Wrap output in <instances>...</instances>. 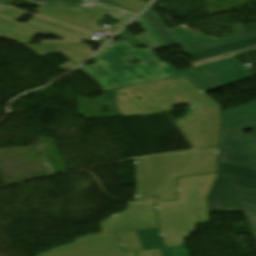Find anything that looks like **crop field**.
Returning a JSON list of instances; mask_svg holds the SVG:
<instances>
[{
	"label": "crop field",
	"instance_id": "4a817a6b",
	"mask_svg": "<svg viewBox=\"0 0 256 256\" xmlns=\"http://www.w3.org/2000/svg\"><path fill=\"white\" fill-rule=\"evenodd\" d=\"M254 45H256V37L200 51L194 54H190V56L198 61Z\"/></svg>",
	"mask_w": 256,
	"mask_h": 256
},
{
	"label": "crop field",
	"instance_id": "214f88e0",
	"mask_svg": "<svg viewBox=\"0 0 256 256\" xmlns=\"http://www.w3.org/2000/svg\"><path fill=\"white\" fill-rule=\"evenodd\" d=\"M125 251L140 250L138 256H161L160 249L144 251L136 231L117 233Z\"/></svg>",
	"mask_w": 256,
	"mask_h": 256
},
{
	"label": "crop field",
	"instance_id": "730fd06b",
	"mask_svg": "<svg viewBox=\"0 0 256 256\" xmlns=\"http://www.w3.org/2000/svg\"><path fill=\"white\" fill-rule=\"evenodd\" d=\"M113 1L125 7L126 9L137 11V12H140L146 6L149 5L143 0H113Z\"/></svg>",
	"mask_w": 256,
	"mask_h": 256
},
{
	"label": "crop field",
	"instance_id": "92a150f3",
	"mask_svg": "<svg viewBox=\"0 0 256 256\" xmlns=\"http://www.w3.org/2000/svg\"><path fill=\"white\" fill-rule=\"evenodd\" d=\"M143 29L147 32L140 36H137L143 43H145L152 50L167 47L162 39L157 35V33L152 29V27L147 23V21L141 15L136 20ZM133 21L132 23H134Z\"/></svg>",
	"mask_w": 256,
	"mask_h": 256
},
{
	"label": "crop field",
	"instance_id": "eef30255",
	"mask_svg": "<svg viewBox=\"0 0 256 256\" xmlns=\"http://www.w3.org/2000/svg\"><path fill=\"white\" fill-rule=\"evenodd\" d=\"M25 14H27V12H24L11 6L0 7V15L12 18L14 20H19Z\"/></svg>",
	"mask_w": 256,
	"mask_h": 256
},
{
	"label": "crop field",
	"instance_id": "28ad6ade",
	"mask_svg": "<svg viewBox=\"0 0 256 256\" xmlns=\"http://www.w3.org/2000/svg\"><path fill=\"white\" fill-rule=\"evenodd\" d=\"M233 176L218 175L208 196L210 212H241L232 185Z\"/></svg>",
	"mask_w": 256,
	"mask_h": 256
},
{
	"label": "crop field",
	"instance_id": "750c4746",
	"mask_svg": "<svg viewBox=\"0 0 256 256\" xmlns=\"http://www.w3.org/2000/svg\"><path fill=\"white\" fill-rule=\"evenodd\" d=\"M76 66H78V65L72 64V63L69 61V62H66V63H64V64L58 66V67L61 68V69L66 70V71H68V70H70V69H72V68H74V67H76Z\"/></svg>",
	"mask_w": 256,
	"mask_h": 256
},
{
	"label": "crop field",
	"instance_id": "dd49c442",
	"mask_svg": "<svg viewBox=\"0 0 256 256\" xmlns=\"http://www.w3.org/2000/svg\"><path fill=\"white\" fill-rule=\"evenodd\" d=\"M244 129L254 134L245 136ZM220 162L256 168V122L222 132Z\"/></svg>",
	"mask_w": 256,
	"mask_h": 256
},
{
	"label": "crop field",
	"instance_id": "a9b5d70f",
	"mask_svg": "<svg viewBox=\"0 0 256 256\" xmlns=\"http://www.w3.org/2000/svg\"><path fill=\"white\" fill-rule=\"evenodd\" d=\"M30 21L37 22V23H40L42 25H45V26H48V27H52V28H55V29H58V30H61V31H64V32H67V33H70L72 35L84 38V39H86L88 36L92 35V34H88V33H85V32L78 31V30H76L74 28H71V27H68L66 25L57 23L55 21H52V20L40 17L38 15L33 17Z\"/></svg>",
	"mask_w": 256,
	"mask_h": 256
},
{
	"label": "crop field",
	"instance_id": "d8731c3e",
	"mask_svg": "<svg viewBox=\"0 0 256 256\" xmlns=\"http://www.w3.org/2000/svg\"><path fill=\"white\" fill-rule=\"evenodd\" d=\"M36 11L40 12L39 15L92 33L99 30L116 33L122 28L116 25L110 29H103L95 25L96 20L108 15L101 9L40 7Z\"/></svg>",
	"mask_w": 256,
	"mask_h": 256
},
{
	"label": "crop field",
	"instance_id": "f4fd0767",
	"mask_svg": "<svg viewBox=\"0 0 256 256\" xmlns=\"http://www.w3.org/2000/svg\"><path fill=\"white\" fill-rule=\"evenodd\" d=\"M197 68L222 87L253 77L235 58L198 66ZM180 72L204 92L219 88L194 68Z\"/></svg>",
	"mask_w": 256,
	"mask_h": 256
},
{
	"label": "crop field",
	"instance_id": "5142ce71",
	"mask_svg": "<svg viewBox=\"0 0 256 256\" xmlns=\"http://www.w3.org/2000/svg\"><path fill=\"white\" fill-rule=\"evenodd\" d=\"M222 117L224 130L256 121V101L224 111Z\"/></svg>",
	"mask_w": 256,
	"mask_h": 256
},
{
	"label": "crop field",
	"instance_id": "00972430",
	"mask_svg": "<svg viewBox=\"0 0 256 256\" xmlns=\"http://www.w3.org/2000/svg\"><path fill=\"white\" fill-rule=\"evenodd\" d=\"M219 173L235 175L240 178L256 180V169L220 163Z\"/></svg>",
	"mask_w": 256,
	"mask_h": 256
},
{
	"label": "crop field",
	"instance_id": "412701ff",
	"mask_svg": "<svg viewBox=\"0 0 256 256\" xmlns=\"http://www.w3.org/2000/svg\"><path fill=\"white\" fill-rule=\"evenodd\" d=\"M136 58L142 63L130 64L129 58ZM92 59L108 70L122 84L170 79L181 77L166 62L160 61L150 49H135L127 41L110 42Z\"/></svg>",
	"mask_w": 256,
	"mask_h": 256
},
{
	"label": "crop field",
	"instance_id": "ae1a2a85",
	"mask_svg": "<svg viewBox=\"0 0 256 256\" xmlns=\"http://www.w3.org/2000/svg\"><path fill=\"white\" fill-rule=\"evenodd\" d=\"M119 35L123 40L127 39L135 47H138L139 45L143 44L137 37L133 36L125 29Z\"/></svg>",
	"mask_w": 256,
	"mask_h": 256
},
{
	"label": "crop field",
	"instance_id": "bd1437ed",
	"mask_svg": "<svg viewBox=\"0 0 256 256\" xmlns=\"http://www.w3.org/2000/svg\"><path fill=\"white\" fill-rule=\"evenodd\" d=\"M9 1H12V0H0V4L6 3V2H9Z\"/></svg>",
	"mask_w": 256,
	"mask_h": 256
},
{
	"label": "crop field",
	"instance_id": "cbeb9de0",
	"mask_svg": "<svg viewBox=\"0 0 256 256\" xmlns=\"http://www.w3.org/2000/svg\"><path fill=\"white\" fill-rule=\"evenodd\" d=\"M38 6H57V7H86L101 8L103 10L121 11L127 16L121 20L123 26L128 23L137 13L123 10L109 0H30Z\"/></svg>",
	"mask_w": 256,
	"mask_h": 256
},
{
	"label": "crop field",
	"instance_id": "ac0d7876",
	"mask_svg": "<svg viewBox=\"0 0 256 256\" xmlns=\"http://www.w3.org/2000/svg\"><path fill=\"white\" fill-rule=\"evenodd\" d=\"M131 92L137 94L133 95ZM117 103L120 117L162 114L172 111L171 105L187 103L196 114L191 122L180 126L188 140L194 148L217 145L220 106L186 78L117 90Z\"/></svg>",
	"mask_w": 256,
	"mask_h": 256
},
{
	"label": "crop field",
	"instance_id": "34b2d1b8",
	"mask_svg": "<svg viewBox=\"0 0 256 256\" xmlns=\"http://www.w3.org/2000/svg\"><path fill=\"white\" fill-rule=\"evenodd\" d=\"M216 176L217 173L178 179L179 201L157 203L159 230L166 247L179 246L195 231V224L209 222L207 196Z\"/></svg>",
	"mask_w": 256,
	"mask_h": 256
},
{
	"label": "crop field",
	"instance_id": "4177f3b9",
	"mask_svg": "<svg viewBox=\"0 0 256 256\" xmlns=\"http://www.w3.org/2000/svg\"><path fill=\"white\" fill-rule=\"evenodd\" d=\"M242 50H244V49H242ZM242 50L231 52V53H228V54L220 55V56H217V57L209 58V59L198 61V62H193L191 64L195 67V66H198V65L206 64V63H211V62H215V61H219V60H224V59L232 58V57H235V56L243 53ZM246 50L248 52L254 51V50H256V46L250 47V48H246Z\"/></svg>",
	"mask_w": 256,
	"mask_h": 256
},
{
	"label": "crop field",
	"instance_id": "d3111659",
	"mask_svg": "<svg viewBox=\"0 0 256 256\" xmlns=\"http://www.w3.org/2000/svg\"><path fill=\"white\" fill-rule=\"evenodd\" d=\"M234 184L236 185H241V186H246V187H251V188H256V182L255 181H249V180H244L240 178H236L234 180Z\"/></svg>",
	"mask_w": 256,
	"mask_h": 256
},
{
	"label": "crop field",
	"instance_id": "dafd665d",
	"mask_svg": "<svg viewBox=\"0 0 256 256\" xmlns=\"http://www.w3.org/2000/svg\"><path fill=\"white\" fill-rule=\"evenodd\" d=\"M143 15L149 20L155 30L168 43L169 46L180 45L178 40L171 34V32L155 14L151 7Z\"/></svg>",
	"mask_w": 256,
	"mask_h": 256
},
{
	"label": "crop field",
	"instance_id": "3316defc",
	"mask_svg": "<svg viewBox=\"0 0 256 256\" xmlns=\"http://www.w3.org/2000/svg\"><path fill=\"white\" fill-rule=\"evenodd\" d=\"M38 33L47 36L48 34L63 38L65 40L59 41H42V42H68L79 41L80 38L52 30L34 23L20 24L14 21L4 19L0 17V35L27 44Z\"/></svg>",
	"mask_w": 256,
	"mask_h": 256
},
{
	"label": "crop field",
	"instance_id": "22f410ed",
	"mask_svg": "<svg viewBox=\"0 0 256 256\" xmlns=\"http://www.w3.org/2000/svg\"><path fill=\"white\" fill-rule=\"evenodd\" d=\"M93 99L78 96L79 115H83L87 118L119 117L116 104V89L104 91L102 96L95 98L97 102H94ZM88 101H90V104H87ZM103 102H106V104H103ZM103 107L111 111H106V113L100 112V110H104ZM90 112H92V114H90Z\"/></svg>",
	"mask_w": 256,
	"mask_h": 256
},
{
	"label": "crop field",
	"instance_id": "733c2abd",
	"mask_svg": "<svg viewBox=\"0 0 256 256\" xmlns=\"http://www.w3.org/2000/svg\"><path fill=\"white\" fill-rule=\"evenodd\" d=\"M247 223L256 238V189L233 185Z\"/></svg>",
	"mask_w": 256,
	"mask_h": 256
},
{
	"label": "crop field",
	"instance_id": "bc2a9ffb",
	"mask_svg": "<svg viewBox=\"0 0 256 256\" xmlns=\"http://www.w3.org/2000/svg\"><path fill=\"white\" fill-rule=\"evenodd\" d=\"M78 69L87 72L89 76L95 79L104 90L124 87L108 71L103 69L98 64L92 66H83Z\"/></svg>",
	"mask_w": 256,
	"mask_h": 256
},
{
	"label": "crop field",
	"instance_id": "8a807250",
	"mask_svg": "<svg viewBox=\"0 0 256 256\" xmlns=\"http://www.w3.org/2000/svg\"><path fill=\"white\" fill-rule=\"evenodd\" d=\"M218 147L134 159L136 202L100 223L103 233L157 228L155 201L176 200V177L217 171Z\"/></svg>",
	"mask_w": 256,
	"mask_h": 256
},
{
	"label": "crop field",
	"instance_id": "d1516ede",
	"mask_svg": "<svg viewBox=\"0 0 256 256\" xmlns=\"http://www.w3.org/2000/svg\"><path fill=\"white\" fill-rule=\"evenodd\" d=\"M38 55H48L54 53H63L73 63L80 64L86 58L93 54V49L87 44L81 42L75 43H45L38 45H26Z\"/></svg>",
	"mask_w": 256,
	"mask_h": 256
},
{
	"label": "crop field",
	"instance_id": "5a996713",
	"mask_svg": "<svg viewBox=\"0 0 256 256\" xmlns=\"http://www.w3.org/2000/svg\"><path fill=\"white\" fill-rule=\"evenodd\" d=\"M169 30L179 40L182 44L181 47L187 54L256 36V32L246 34L243 25L234 26L233 34L221 39L208 38L182 26L171 28Z\"/></svg>",
	"mask_w": 256,
	"mask_h": 256
},
{
	"label": "crop field",
	"instance_id": "e52e79f7",
	"mask_svg": "<svg viewBox=\"0 0 256 256\" xmlns=\"http://www.w3.org/2000/svg\"><path fill=\"white\" fill-rule=\"evenodd\" d=\"M37 256H136L135 252L123 253L115 233L88 235L73 243L60 246Z\"/></svg>",
	"mask_w": 256,
	"mask_h": 256
},
{
	"label": "crop field",
	"instance_id": "d9b57169",
	"mask_svg": "<svg viewBox=\"0 0 256 256\" xmlns=\"http://www.w3.org/2000/svg\"><path fill=\"white\" fill-rule=\"evenodd\" d=\"M137 232L145 250L161 248L162 256H188L186 246L166 248L158 229Z\"/></svg>",
	"mask_w": 256,
	"mask_h": 256
}]
</instances>
